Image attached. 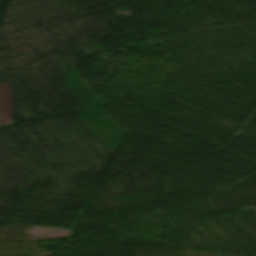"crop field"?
Listing matches in <instances>:
<instances>
[{
    "label": "crop field",
    "instance_id": "crop-field-1",
    "mask_svg": "<svg viewBox=\"0 0 256 256\" xmlns=\"http://www.w3.org/2000/svg\"><path fill=\"white\" fill-rule=\"evenodd\" d=\"M11 123L8 84H0V125Z\"/></svg>",
    "mask_w": 256,
    "mask_h": 256
}]
</instances>
